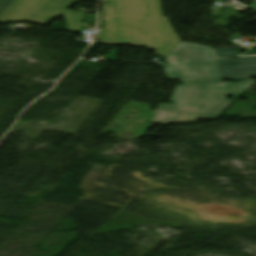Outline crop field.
Segmentation results:
<instances>
[{"mask_svg": "<svg viewBox=\"0 0 256 256\" xmlns=\"http://www.w3.org/2000/svg\"><path fill=\"white\" fill-rule=\"evenodd\" d=\"M119 18H103L99 42L174 48L180 41L163 18L160 0H118Z\"/></svg>", "mask_w": 256, "mask_h": 256, "instance_id": "8a807250", "label": "crop field"}, {"mask_svg": "<svg viewBox=\"0 0 256 256\" xmlns=\"http://www.w3.org/2000/svg\"><path fill=\"white\" fill-rule=\"evenodd\" d=\"M254 82H183L171 98L172 105L159 104L152 123L193 122L215 119L234 103ZM231 88L230 90H228ZM233 96L232 100H227ZM218 118V117H217Z\"/></svg>", "mask_w": 256, "mask_h": 256, "instance_id": "ac0d7876", "label": "crop field"}, {"mask_svg": "<svg viewBox=\"0 0 256 256\" xmlns=\"http://www.w3.org/2000/svg\"><path fill=\"white\" fill-rule=\"evenodd\" d=\"M164 71L170 80L221 81L214 48L179 42L166 56Z\"/></svg>", "mask_w": 256, "mask_h": 256, "instance_id": "34b2d1b8", "label": "crop field"}, {"mask_svg": "<svg viewBox=\"0 0 256 256\" xmlns=\"http://www.w3.org/2000/svg\"><path fill=\"white\" fill-rule=\"evenodd\" d=\"M79 0H15L1 14L0 23L47 25Z\"/></svg>", "mask_w": 256, "mask_h": 256, "instance_id": "412701ff", "label": "crop field"}, {"mask_svg": "<svg viewBox=\"0 0 256 256\" xmlns=\"http://www.w3.org/2000/svg\"><path fill=\"white\" fill-rule=\"evenodd\" d=\"M222 79H241L255 81L249 77H256V52L249 50L236 60H218ZM254 74V76H252Z\"/></svg>", "mask_w": 256, "mask_h": 256, "instance_id": "f4fd0767", "label": "crop field"}, {"mask_svg": "<svg viewBox=\"0 0 256 256\" xmlns=\"http://www.w3.org/2000/svg\"><path fill=\"white\" fill-rule=\"evenodd\" d=\"M248 97L247 102L236 101L235 104L223 115L229 116H241V117H256V97L255 96H246Z\"/></svg>", "mask_w": 256, "mask_h": 256, "instance_id": "dd49c442", "label": "crop field"}, {"mask_svg": "<svg viewBox=\"0 0 256 256\" xmlns=\"http://www.w3.org/2000/svg\"><path fill=\"white\" fill-rule=\"evenodd\" d=\"M66 24L69 30L75 31L78 29H82L83 25V14L80 12L67 10L63 13Z\"/></svg>", "mask_w": 256, "mask_h": 256, "instance_id": "e52e79f7", "label": "crop field"}, {"mask_svg": "<svg viewBox=\"0 0 256 256\" xmlns=\"http://www.w3.org/2000/svg\"><path fill=\"white\" fill-rule=\"evenodd\" d=\"M102 1H113L114 5H106L102 7V16L103 17H118L117 11V0H102Z\"/></svg>", "mask_w": 256, "mask_h": 256, "instance_id": "d8731c3e", "label": "crop field"}, {"mask_svg": "<svg viewBox=\"0 0 256 256\" xmlns=\"http://www.w3.org/2000/svg\"><path fill=\"white\" fill-rule=\"evenodd\" d=\"M236 49V48H235ZM235 49L215 50L217 58L239 55L240 52Z\"/></svg>", "mask_w": 256, "mask_h": 256, "instance_id": "5a996713", "label": "crop field"}, {"mask_svg": "<svg viewBox=\"0 0 256 256\" xmlns=\"http://www.w3.org/2000/svg\"><path fill=\"white\" fill-rule=\"evenodd\" d=\"M172 49L170 48H161L157 47L154 51L157 52V55L165 57Z\"/></svg>", "mask_w": 256, "mask_h": 256, "instance_id": "3316defc", "label": "crop field"}, {"mask_svg": "<svg viewBox=\"0 0 256 256\" xmlns=\"http://www.w3.org/2000/svg\"><path fill=\"white\" fill-rule=\"evenodd\" d=\"M14 0H0V13Z\"/></svg>", "mask_w": 256, "mask_h": 256, "instance_id": "28ad6ade", "label": "crop field"}, {"mask_svg": "<svg viewBox=\"0 0 256 256\" xmlns=\"http://www.w3.org/2000/svg\"><path fill=\"white\" fill-rule=\"evenodd\" d=\"M254 1H255V3L251 7L256 9V0H254Z\"/></svg>", "mask_w": 256, "mask_h": 256, "instance_id": "d1516ede", "label": "crop field"}, {"mask_svg": "<svg viewBox=\"0 0 256 256\" xmlns=\"http://www.w3.org/2000/svg\"><path fill=\"white\" fill-rule=\"evenodd\" d=\"M253 21H256V19H255V20H253ZM253 21H251V22H253Z\"/></svg>", "mask_w": 256, "mask_h": 256, "instance_id": "22f410ed", "label": "crop field"}]
</instances>
